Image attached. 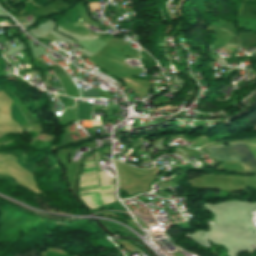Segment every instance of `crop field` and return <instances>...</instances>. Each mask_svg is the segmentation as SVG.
<instances>
[{
	"label": "crop field",
	"instance_id": "crop-field-1",
	"mask_svg": "<svg viewBox=\"0 0 256 256\" xmlns=\"http://www.w3.org/2000/svg\"><path fill=\"white\" fill-rule=\"evenodd\" d=\"M214 159L222 161L239 160L245 172H256V162L244 144H231L206 148Z\"/></svg>",
	"mask_w": 256,
	"mask_h": 256
}]
</instances>
